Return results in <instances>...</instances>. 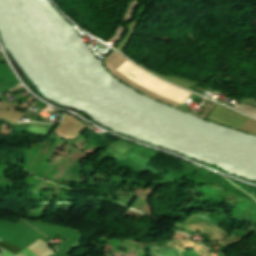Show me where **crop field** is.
I'll return each instance as SVG.
<instances>
[{
    "label": "crop field",
    "mask_w": 256,
    "mask_h": 256,
    "mask_svg": "<svg viewBox=\"0 0 256 256\" xmlns=\"http://www.w3.org/2000/svg\"><path fill=\"white\" fill-rule=\"evenodd\" d=\"M0 247L4 248L5 250H7L15 255L24 249L19 246L13 245L11 243L3 242V241H0Z\"/></svg>",
    "instance_id": "crop-field-1"
},
{
    "label": "crop field",
    "mask_w": 256,
    "mask_h": 256,
    "mask_svg": "<svg viewBox=\"0 0 256 256\" xmlns=\"http://www.w3.org/2000/svg\"><path fill=\"white\" fill-rule=\"evenodd\" d=\"M2 253V250L0 249V254Z\"/></svg>",
    "instance_id": "crop-field-2"
}]
</instances>
